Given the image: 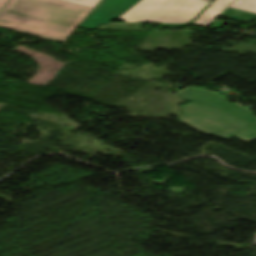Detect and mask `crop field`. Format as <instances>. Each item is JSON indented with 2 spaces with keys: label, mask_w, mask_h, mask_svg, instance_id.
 <instances>
[{
  "label": "crop field",
  "mask_w": 256,
  "mask_h": 256,
  "mask_svg": "<svg viewBox=\"0 0 256 256\" xmlns=\"http://www.w3.org/2000/svg\"><path fill=\"white\" fill-rule=\"evenodd\" d=\"M100 0H11L0 27L64 42Z\"/></svg>",
  "instance_id": "crop-field-1"
},
{
  "label": "crop field",
  "mask_w": 256,
  "mask_h": 256,
  "mask_svg": "<svg viewBox=\"0 0 256 256\" xmlns=\"http://www.w3.org/2000/svg\"><path fill=\"white\" fill-rule=\"evenodd\" d=\"M209 3L203 0H141L118 20L149 23H189Z\"/></svg>",
  "instance_id": "crop-field-2"
},
{
  "label": "crop field",
  "mask_w": 256,
  "mask_h": 256,
  "mask_svg": "<svg viewBox=\"0 0 256 256\" xmlns=\"http://www.w3.org/2000/svg\"><path fill=\"white\" fill-rule=\"evenodd\" d=\"M181 110L185 114L178 117L180 122L225 139L250 126L222 112L193 103L181 107Z\"/></svg>",
  "instance_id": "crop-field-3"
},
{
  "label": "crop field",
  "mask_w": 256,
  "mask_h": 256,
  "mask_svg": "<svg viewBox=\"0 0 256 256\" xmlns=\"http://www.w3.org/2000/svg\"><path fill=\"white\" fill-rule=\"evenodd\" d=\"M176 93L186 100L194 101L218 109L250 124L256 122V118L251 111L237 103L230 104L225 100L224 97L215 92H208L203 89H194L189 87Z\"/></svg>",
  "instance_id": "crop-field-4"
},
{
  "label": "crop field",
  "mask_w": 256,
  "mask_h": 256,
  "mask_svg": "<svg viewBox=\"0 0 256 256\" xmlns=\"http://www.w3.org/2000/svg\"><path fill=\"white\" fill-rule=\"evenodd\" d=\"M140 0H101L96 9L81 24V28L94 29L100 24H108L119 17ZM211 2V0H205Z\"/></svg>",
  "instance_id": "crop-field-5"
},
{
  "label": "crop field",
  "mask_w": 256,
  "mask_h": 256,
  "mask_svg": "<svg viewBox=\"0 0 256 256\" xmlns=\"http://www.w3.org/2000/svg\"><path fill=\"white\" fill-rule=\"evenodd\" d=\"M232 1L233 0H214L193 24L207 27L232 3Z\"/></svg>",
  "instance_id": "crop-field-6"
},
{
  "label": "crop field",
  "mask_w": 256,
  "mask_h": 256,
  "mask_svg": "<svg viewBox=\"0 0 256 256\" xmlns=\"http://www.w3.org/2000/svg\"><path fill=\"white\" fill-rule=\"evenodd\" d=\"M220 16L233 19L241 23H248L256 17V14L227 8Z\"/></svg>",
  "instance_id": "crop-field-7"
},
{
  "label": "crop field",
  "mask_w": 256,
  "mask_h": 256,
  "mask_svg": "<svg viewBox=\"0 0 256 256\" xmlns=\"http://www.w3.org/2000/svg\"><path fill=\"white\" fill-rule=\"evenodd\" d=\"M229 7L256 13V0H234Z\"/></svg>",
  "instance_id": "crop-field-8"
},
{
  "label": "crop field",
  "mask_w": 256,
  "mask_h": 256,
  "mask_svg": "<svg viewBox=\"0 0 256 256\" xmlns=\"http://www.w3.org/2000/svg\"><path fill=\"white\" fill-rule=\"evenodd\" d=\"M236 138L248 143L254 139H256V125L246 130L242 134L238 135Z\"/></svg>",
  "instance_id": "crop-field-9"
},
{
  "label": "crop field",
  "mask_w": 256,
  "mask_h": 256,
  "mask_svg": "<svg viewBox=\"0 0 256 256\" xmlns=\"http://www.w3.org/2000/svg\"><path fill=\"white\" fill-rule=\"evenodd\" d=\"M161 27H185L187 24H160Z\"/></svg>",
  "instance_id": "crop-field-10"
},
{
  "label": "crop field",
  "mask_w": 256,
  "mask_h": 256,
  "mask_svg": "<svg viewBox=\"0 0 256 256\" xmlns=\"http://www.w3.org/2000/svg\"><path fill=\"white\" fill-rule=\"evenodd\" d=\"M224 23H225L224 21L216 20V21L214 22V24H213L214 27H212V28H221Z\"/></svg>",
  "instance_id": "crop-field-11"
},
{
  "label": "crop field",
  "mask_w": 256,
  "mask_h": 256,
  "mask_svg": "<svg viewBox=\"0 0 256 256\" xmlns=\"http://www.w3.org/2000/svg\"><path fill=\"white\" fill-rule=\"evenodd\" d=\"M7 0H0V9L2 8V6L5 4Z\"/></svg>",
  "instance_id": "crop-field-12"
}]
</instances>
